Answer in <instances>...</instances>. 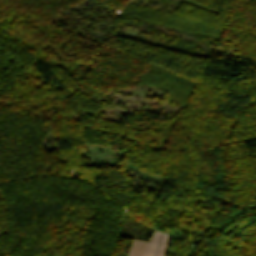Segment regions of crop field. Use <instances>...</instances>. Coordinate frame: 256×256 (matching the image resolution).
Returning <instances> with one entry per match:
<instances>
[{
	"mask_svg": "<svg viewBox=\"0 0 256 256\" xmlns=\"http://www.w3.org/2000/svg\"><path fill=\"white\" fill-rule=\"evenodd\" d=\"M143 243L144 242L134 240L128 256H139Z\"/></svg>",
	"mask_w": 256,
	"mask_h": 256,
	"instance_id": "2",
	"label": "crop field"
},
{
	"mask_svg": "<svg viewBox=\"0 0 256 256\" xmlns=\"http://www.w3.org/2000/svg\"><path fill=\"white\" fill-rule=\"evenodd\" d=\"M170 239L171 237L169 236H165V235L163 236V240H162V244H161L158 256H166L169 248Z\"/></svg>",
	"mask_w": 256,
	"mask_h": 256,
	"instance_id": "3",
	"label": "crop field"
},
{
	"mask_svg": "<svg viewBox=\"0 0 256 256\" xmlns=\"http://www.w3.org/2000/svg\"><path fill=\"white\" fill-rule=\"evenodd\" d=\"M158 234L159 232L155 231V233L152 236V239H150L149 243L146 244L143 256H152Z\"/></svg>",
	"mask_w": 256,
	"mask_h": 256,
	"instance_id": "1",
	"label": "crop field"
},
{
	"mask_svg": "<svg viewBox=\"0 0 256 256\" xmlns=\"http://www.w3.org/2000/svg\"><path fill=\"white\" fill-rule=\"evenodd\" d=\"M162 236H163L162 234H159V238H158V242H157L156 249H155V252H154V256H157V254H158V250H159V247H160V244H161Z\"/></svg>",
	"mask_w": 256,
	"mask_h": 256,
	"instance_id": "4",
	"label": "crop field"
}]
</instances>
